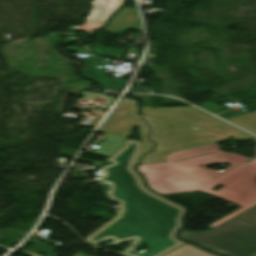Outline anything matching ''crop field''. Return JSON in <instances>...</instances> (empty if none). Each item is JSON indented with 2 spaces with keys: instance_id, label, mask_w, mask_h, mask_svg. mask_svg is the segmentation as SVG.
<instances>
[{
  "instance_id": "crop-field-7",
  "label": "crop field",
  "mask_w": 256,
  "mask_h": 256,
  "mask_svg": "<svg viewBox=\"0 0 256 256\" xmlns=\"http://www.w3.org/2000/svg\"><path fill=\"white\" fill-rule=\"evenodd\" d=\"M123 0H95L92 1L93 8L84 25L78 26L76 30L92 32L106 23V20L121 4Z\"/></svg>"
},
{
  "instance_id": "crop-field-16",
  "label": "crop field",
  "mask_w": 256,
  "mask_h": 256,
  "mask_svg": "<svg viewBox=\"0 0 256 256\" xmlns=\"http://www.w3.org/2000/svg\"><path fill=\"white\" fill-rule=\"evenodd\" d=\"M75 256H85V255H83V254L79 253V254H76Z\"/></svg>"
},
{
  "instance_id": "crop-field-13",
  "label": "crop field",
  "mask_w": 256,
  "mask_h": 256,
  "mask_svg": "<svg viewBox=\"0 0 256 256\" xmlns=\"http://www.w3.org/2000/svg\"><path fill=\"white\" fill-rule=\"evenodd\" d=\"M84 92V96L83 98H86V99H92L94 96L96 95H101L102 97H106L108 99H110V101L108 102V104L106 105V107H109L110 104L115 100L116 97H110V96H107L103 93H92V92H85V91H82Z\"/></svg>"
},
{
  "instance_id": "crop-field-9",
  "label": "crop field",
  "mask_w": 256,
  "mask_h": 256,
  "mask_svg": "<svg viewBox=\"0 0 256 256\" xmlns=\"http://www.w3.org/2000/svg\"><path fill=\"white\" fill-rule=\"evenodd\" d=\"M98 131L107 133V140L104 142H100L101 147L97 151L92 152L94 154L111 156L121 148L126 138L128 137L127 134L111 132L101 129H98Z\"/></svg>"
},
{
  "instance_id": "crop-field-5",
  "label": "crop field",
  "mask_w": 256,
  "mask_h": 256,
  "mask_svg": "<svg viewBox=\"0 0 256 256\" xmlns=\"http://www.w3.org/2000/svg\"><path fill=\"white\" fill-rule=\"evenodd\" d=\"M141 114L156 115L161 117H171L178 122L213 130L216 132L228 134L236 141H247L256 137L237 129L215 117L203 113L192 106H178V107H159L151 108L149 106H141Z\"/></svg>"
},
{
  "instance_id": "crop-field-11",
  "label": "crop field",
  "mask_w": 256,
  "mask_h": 256,
  "mask_svg": "<svg viewBox=\"0 0 256 256\" xmlns=\"http://www.w3.org/2000/svg\"><path fill=\"white\" fill-rule=\"evenodd\" d=\"M166 256H214V255L187 244Z\"/></svg>"
},
{
  "instance_id": "crop-field-10",
  "label": "crop field",
  "mask_w": 256,
  "mask_h": 256,
  "mask_svg": "<svg viewBox=\"0 0 256 256\" xmlns=\"http://www.w3.org/2000/svg\"><path fill=\"white\" fill-rule=\"evenodd\" d=\"M228 120L256 134V111L248 114H243Z\"/></svg>"
},
{
  "instance_id": "crop-field-2",
  "label": "crop field",
  "mask_w": 256,
  "mask_h": 256,
  "mask_svg": "<svg viewBox=\"0 0 256 256\" xmlns=\"http://www.w3.org/2000/svg\"><path fill=\"white\" fill-rule=\"evenodd\" d=\"M213 163L232 166L221 172L206 168ZM137 169L148 186L162 195L200 190L242 206L210 224L212 228L256 205V158L225 153L217 144L170 154L167 162L139 165ZM219 184L224 187L211 190Z\"/></svg>"
},
{
  "instance_id": "crop-field-15",
  "label": "crop field",
  "mask_w": 256,
  "mask_h": 256,
  "mask_svg": "<svg viewBox=\"0 0 256 256\" xmlns=\"http://www.w3.org/2000/svg\"><path fill=\"white\" fill-rule=\"evenodd\" d=\"M25 253L28 254V255H30V256H41V255L34 254V253H32V252H29V251H27V250H25Z\"/></svg>"
},
{
  "instance_id": "crop-field-12",
  "label": "crop field",
  "mask_w": 256,
  "mask_h": 256,
  "mask_svg": "<svg viewBox=\"0 0 256 256\" xmlns=\"http://www.w3.org/2000/svg\"><path fill=\"white\" fill-rule=\"evenodd\" d=\"M101 114H98L97 116L94 115H86L81 122L79 123L80 126H88V127H95L98 121L101 118Z\"/></svg>"
},
{
  "instance_id": "crop-field-4",
  "label": "crop field",
  "mask_w": 256,
  "mask_h": 256,
  "mask_svg": "<svg viewBox=\"0 0 256 256\" xmlns=\"http://www.w3.org/2000/svg\"><path fill=\"white\" fill-rule=\"evenodd\" d=\"M152 127L150 139L157 142L156 150L146 154L140 164L166 161L167 154L225 142L229 136L174 121L171 118L143 117Z\"/></svg>"
},
{
  "instance_id": "crop-field-1",
  "label": "crop field",
  "mask_w": 256,
  "mask_h": 256,
  "mask_svg": "<svg viewBox=\"0 0 256 256\" xmlns=\"http://www.w3.org/2000/svg\"><path fill=\"white\" fill-rule=\"evenodd\" d=\"M142 145L127 140L125 145L109 158L113 164L95 171L107 195L112 201H119L116 217L88 236L86 241L96 245L108 238L116 246L119 242L132 240L130 247L121 254L129 256H161L184 242L174 235L181 227L185 209L146 189L132 169ZM175 219H172V218ZM123 218L121 222L118 219ZM119 222V224H117ZM135 223V225H133ZM142 233V234H140ZM121 236V238H119ZM149 247L136 253L133 248L141 243Z\"/></svg>"
},
{
  "instance_id": "crop-field-3",
  "label": "crop field",
  "mask_w": 256,
  "mask_h": 256,
  "mask_svg": "<svg viewBox=\"0 0 256 256\" xmlns=\"http://www.w3.org/2000/svg\"><path fill=\"white\" fill-rule=\"evenodd\" d=\"M179 237L219 254L247 256L256 251V206L207 233L181 231Z\"/></svg>"
},
{
  "instance_id": "crop-field-6",
  "label": "crop field",
  "mask_w": 256,
  "mask_h": 256,
  "mask_svg": "<svg viewBox=\"0 0 256 256\" xmlns=\"http://www.w3.org/2000/svg\"><path fill=\"white\" fill-rule=\"evenodd\" d=\"M135 115L136 108L128 99H124L100 128L130 134L134 127L140 126L143 147L135 161L137 164L142 154L152 149L153 143L146 139L148 126L138 117H134Z\"/></svg>"
},
{
  "instance_id": "crop-field-8",
  "label": "crop field",
  "mask_w": 256,
  "mask_h": 256,
  "mask_svg": "<svg viewBox=\"0 0 256 256\" xmlns=\"http://www.w3.org/2000/svg\"><path fill=\"white\" fill-rule=\"evenodd\" d=\"M112 33L131 29L142 32V24L137 10L122 7L108 22L107 26L103 28Z\"/></svg>"
},
{
  "instance_id": "crop-field-14",
  "label": "crop field",
  "mask_w": 256,
  "mask_h": 256,
  "mask_svg": "<svg viewBox=\"0 0 256 256\" xmlns=\"http://www.w3.org/2000/svg\"><path fill=\"white\" fill-rule=\"evenodd\" d=\"M248 97H256V88H253Z\"/></svg>"
},
{
  "instance_id": "crop-field-17",
  "label": "crop field",
  "mask_w": 256,
  "mask_h": 256,
  "mask_svg": "<svg viewBox=\"0 0 256 256\" xmlns=\"http://www.w3.org/2000/svg\"><path fill=\"white\" fill-rule=\"evenodd\" d=\"M249 256H256V252H255V253H253V254H251V255H249Z\"/></svg>"
}]
</instances>
